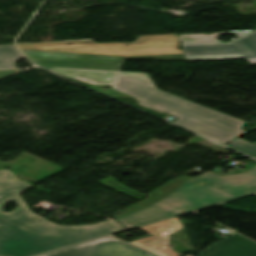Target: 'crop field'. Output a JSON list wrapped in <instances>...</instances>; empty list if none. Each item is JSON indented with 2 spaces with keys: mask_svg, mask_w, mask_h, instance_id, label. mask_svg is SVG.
I'll list each match as a JSON object with an SVG mask.
<instances>
[{
  "mask_svg": "<svg viewBox=\"0 0 256 256\" xmlns=\"http://www.w3.org/2000/svg\"><path fill=\"white\" fill-rule=\"evenodd\" d=\"M229 33L178 35L186 60H222L246 58L256 65V32H235L238 39L219 42L217 36Z\"/></svg>",
  "mask_w": 256,
  "mask_h": 256,
  "instance_id": "obj_5",
  "label": "crop field"
},
{
  "mask_svg": "<svg viewBox=\"0 0 256 256\" xmlns=\"http://www.w3.org/2000/svg\"><path fill=\"white\" fill-rule=\"evenodd\" d=\"M256 192V166L250 170L219 176L177 178L114 217L125 229Z\"/></svg>",
  "mask_w": 256,
  "mask_h": 256,
  "instance_id": "obj_3",
  "label": "crop field"
},
{
  "mask_svg": "<svg viewBox=\"0 0 256 256\" xmlns=\"http://www.w3.org/2000/svg\"><path fill=\"white\" fill-rule=\"evenodd\" d=\"M31 186L12 171L0 170V256H34L122 230L110 220L96 225L57 226L31 212L20 197ZM10 200L20 207L9 213L1 211Z\"/></svg>",
  "mask_w": 256,
  "mask_h": 256,
  "instance_id": "obj_2",
  "label": "crop field"
},
{
  "mask_svg": "<svg viewBox=\"0 0 256 256\" xmlns=\"http://www.w3.org/2000/svg\"><path fill=\"white\" fill-rule=\"evenodd\" d=\"M16 72V70H7V71H0V78L8 76L12 73ZM17 73V72H16Z\"/></svg>",
  "mask_w": 256,
  "mask_h": 256,
  "instance_id": "obj_13",
  "label": "crop field"
},
{
  "mask_svg": "<svg viewBox=\"0 0 256 256\" xmlns=\"http://www.w3.org/2000/svg\"><path fill=\"white\" fill-rule=\"evenodd\" d=\"M106 181H108V182H110V183H112V184H115V185H117V186H119V187H122V188H124V189H126V190H129V191H131V192H133V193H136V194H138V195H140V196H142V197L139 198V197H137V196H135V195H132V194H130V193H128V192H125V191H123V190H121V189H118V188H116V187H114V186H111V185L105 183ZM98 183L103 184V185H105V186H108V187H110V188L116 189V190H118V191H120V192H122V193H125V194H127V195H129V196H132V197H134V198H137V199H139V200H141V199H143L144 197L147 196V195L141 194V193H139V192H137V191H135V190H131V189H129V188L123 186L121 183H119L116 179H114V178L111 177V176L108 177V178H106V179H104V180H102V181H100V182H98Z\"/></svg>",
  "mask_w": 256,
  "mask_h": 256,
  "instance_id": "obj_12",
  "label": "crop field"
},
{
  "mask_svg": "<svg viewBox=\"0 0 256 256\" xmlns=\"http://www.w3.org/2000/svg\"><path fill=\"white\" fill-rule=\"evenodd\" d=\"M41 256H154L110 236Z\"/></svg>",
  "mask_w": 256,
  "mask_h": 256,
  "instance_id": "obj_7",
  "label": "crop field"
},
{
  "mask_svg": "<svg viewBox=\"0 0 256 256\" xmlns=\"http://www.w3.org/2000/svg\"><path fill=\"white\" fill-rule=\"evenodd\" d=\"M198 256H256V243L235 234L211 245Z\"/></svg>",
  "mask_w": 256,
  "mask_h": 256,
  "instance_id": "obj_9",
  "label": "crop field"
},
{
  "mask_svg": "<svg viewBox=\"0 0 256 256\" xmlns=\"http://www.w3.org/2000/svg\"><path fill=\"white\" fill-rule=\"evenodd\" d=\"M24 51V50H23ZM38 66L121 71L127 57L24 51Z\"/></svg>",
  "mask_w": 256,
  "mask_h": 256,
  "instance_id": "obj_6",
  "label": "crop field"
},
{
  "mask_svg": "<svg viewBox=\"0 0 256 256\" xmlns=\"http://www.w3.org/2000/svg\"><path fill=\"white\" fill-rule=\"evenodd\" d=\"M141 229L154 236L131 242L132 244L149 250L159 256H179L178 253L167 247V234L181 229V225L176 218Z\"/></svg>",
  "mask_w": 256,
  "mask_h": 256,
  "instance_id": "obj_8",
  "label": "crop field"
},
{
  "mask_svg": "<svg viewBox=\"0 0 256 256\" xmlns=\"http://www.w3.org/2000/svg\"><path fill=\"white\" fill-rule=\"evenodd\" d=\"M62 76L91 84V89L112 98L132 97L138 104L179 119L178 125L193 130L219 143H226L245 131L243 121L173 96L157 89L148 74L50 68ZM102 86H113L103 91Z\"/></svg>",
  "mask_w": 256,
  "mask_h": 256,
  "instance_id": "obj_1",
  "label": "crop field"
},
{
  "mask_svg": "<svg viewBox=\"0 0 256 256\" xmlns=\"http://www.w3.org/2000/svg\"><path fill=\"white\" fill-rule=\"evenodd\" d=\"M76 43L65 45L63 43ZM55 42L42 44H18L24 50L74 52L88 54H103L127 56L128 59H155L162 61L185 60L179 45L177 35L139 37L134 43H96L93 40ZM132 46H124V45Z\"/></svg>",
  "mask_w": 256,
  "mask_h": 256,
  "instance_id": "obj_4",
  "label": "crop field"
},
{
  "mask_svg": "<svg viewBox=\"0 0 256 256\" xmlns=\"http://www.w3.org/2000/svg\"><path fill=\"white\" fill-rule=\"evenodd\" d=\"M18 58L24 57L14 45L0 46V69L15 68L14 63Z\"/></svg>",
  "mask_w": 256,
  "mask_h": 256,
  "instance_id": "obj_10",
  "label": "crop field"
},
{
  "mask_svg": "<svg viewBox=\"0 0 256 256\" xmlns=\"http://www.w3.org/2000/svg\"><path fill=\"white\" fill-rule=\"evenodd\" d=\"M231 146L239 151H242L246 154L256 157V143L250 144L245 140L237 139L230 143ZM239 144V145H237Z\"/></svg>",
  "mask_w": 256,
  "mask_h": 256,
  "instance_id": "obj_11",
  "label": "crop field"
}]
</instances>
